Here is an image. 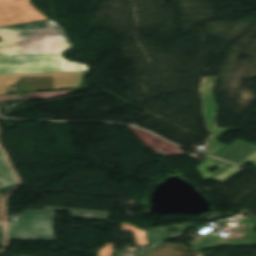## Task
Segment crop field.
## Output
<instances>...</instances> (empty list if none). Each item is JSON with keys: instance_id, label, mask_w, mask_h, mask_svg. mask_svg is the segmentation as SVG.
<instances>
[{"instance_id": "crop-field-1", "label": "crop field", "mask_w": 256, "mask_h": 256, "mask_svg": "<svg viewBox=\"0 0 256 256\" xmlns=\"http://www.w3.org/2000/svg\"><path fill=\"white\" fill-rule=\"evenodd\" d=\"M0 37V95L34 76H52L53 90L88 88L87 65L63 59L62 51L73 46L54 21L3 27Z\"/></svg>"}, {"instance_id": "crop-field-2", "label": "crop field", "mask_w": 256, "mask_h": 256, "mask_svg": "<svg viewBox=\"0 0 256 256\" xmlns=\"http://www.w3.org/2000/svg\"><path fill=\"white\" fill-rule=\"evenodd\" d=\"M55 210L70 211V217L108 221L110 212L50 207L25 210L19 222H7L9 240L55 241L52 224Z\"/></svg>"}, {"instance_id": "crop-field-3", "label": "crop field", "mask_w": 256, "mask_h": 256, "mask_svg": "<svg viewBox=\"0 0 256 256\" xmlns=\"http://www.w3.org/2000/svg\"><path fill=\"white\" fill-rule=\"evenodd\" d=\"M48 19L31 0H0V27Z\"/></svg>"}, {"instance_id": "crop-field-4", "label": "crop field", "mask_w": 256, "mask_h": 256, "mask_svg": "<svg viewBox=\"0 0 256 256\" xmlns=\"http://www.w3.org/2000/svg\"><path fill=\"white\" fill-rule=\"evenodd\" d=\"M210 155L238 163L253 162L256 167V145L236 139L230 146L220 142L211 143L208 150Z\"/></svg>"}, {"instance_id": "crop-field-5", "label": "crop field", "mask_w": 256, "mask_h": 256, "mask_svg": "<svg viewBox=\"0 0 256 256\" xmlns=\"http://www.w3.org/2000/svg\"><path fill=\"white\" fill-rule=\"evenodd\" d=\"M218 77H204L201 92L205 104V118L209 131L213 134V138L209 142L217 141L218 137L227 133L228 130L235 131L242 128H217L216 113L217 105L214 96V86ZM229 132V131H228Z\"/></svg>"}, {"instance_id": "crop-field-6", "label": "crop field", "mask_w": 256, "mask_h": 256, "mask_svg": "<svg viewBox=\"0 0 256 256\" xmlns=\"http://www.w3.org/2000/svg\"><path fill=\"white\" fill-rule=\"evenodd\" d=\"M214 164L217 166H220V168L215 170L213 173L208 172L207 170ZM229 165L230 164L228 163L209 157L206 160H204L202 163H200L198 166H196L195 168L201 174V176L205 178V180H208L209 178H211L212 176H214L215 174H217L218 172H220L222 169H224ZM243 170L244 169L233 165L229 167L227 170H225L224 172H222L221 174H219L218 176H216L215 178H213L212 181L223 183Z\"/></svg>"}, {"instance_id": "crop-field-7", "label": "crop field", "mask_w": 256, "mask_h": 256, "mask_svg": "<svg viewBox=\"0 0 256 256\" xmlns=\"http://www.w3.org/2000/svg\"><path fill=\"white\" fill-rule=\"evenodd\" d=\"M52 77L22 78L17 86H11L9 94L52 90Z\"/></svg>"}, {"instance_id": "crop-field-8", "label": "crop field", "mask_w": 256, "mask_h": 256, "mask_svg": "<svg viewBox=\"0 0 256 256\" xmlns=\"http://www.w3.org/2000/svg\"><path fill=\"white\" fill-rule=\"evenodd\" d=\"M221 246H248L244 238L239 239H215L200 237V239L192 246L193 251L198 252V256H202L200 250L221 247Z\"/></svg>"}, {"instance_id": "crop-field-9", "label": "crop field", "mask_w": 256, "mask_h": 256, "mask_svg": "<svg viewBox=\"0 0 256 256\" xmlns=\"http://www.w3.org/2000/svg\"><path fill=\"white\" fill-rule=\"evenodd\" d=\"M196 224L189 222L183 226H178V225H169V226H163V227H156V228H152V229H147L145 230L147 233V238H148V243L150 246L155 245L177 233H180L192 226H194ZM173 227H177L180 228L179 230L172 232L168 235H166L165 231L173 228Z\"/></svg>"}, {"instance_id": "crop-field-10", "label": "crop field", "mask_w": 256, "mask_h": 256, "mask_svg": "<svg viewBox=\"0 0 256 256\" xmlns=\"http://www.w3.org/2000/svg\"><path fill=\"white\" fill-rule=\"evenodd\" d=\"M191 249L184 245L160 244L148 250L142 256H192L188 255Z\"/></svg>"}, {"instance_id": "crop-field-11", "label": "crop field", "mask_w": 256, "mask_h": 256, "mask_svg": "<svg viewBox=\"0 0 256 256\" xmlns=\"http://www.w3.org/2000/svg\"><path fill=\"white\" fill-rule=\"evenodd\" d=\"M15 183H17V179L10 170L3 152L0 150V189Z\"/></svg>"}, {"instance_id": "crop-field-12", "label": "crop field", "mask_w": 256, "mask_h": 256, "mask_svg": "<svg viewBox=\"0 0 256 256\" xmlns=\"http://www.w3.org/2000/svg\"><path fill=\"white\" fill-rule=\"evenodd\" d=\"M122 228L124 232L134 231L136 246L147 245V239L144 230L137 229L135 226L126 223H122Z\"/></svg>"}, {"instance_id": "crop-field-13", "label": "crop field", "mask_w": 256, "mask_h": 256, "mask_svg": "<svg viewBox=\"0 0 256 256\" xmlns=\"http://www.w3.org/2000/svg\"><path fill=\"white\" fill-rule=\"evenodd\" d=\"M114 244L107 243L104 248L100 249L98 256H112Z\"/></svg>"}, {"instance_id": "crop-field-14", "label": "crop field", "mask_w": 256, "mask_h": 256, "mask_svg": "<svg viewBox=\"0 0 256 256\" xmlns=\"http://www.w3.org/2000/svg\"><path fill=\"white\" fill-rule=\"evenodd\" d=\"M0 202H3L2 194H0ZM0 224H3L2 205H0Z\"/></svg>"}, {"instance_id": "crop-field-15", "label": "crop field", "mask_w": 256, "mask_h": 256, "mask_svg": "<svg viewBox=\"0 0 256 256\" xmlns=\"http://www.w3.org/2000/svg\"><path fill=\"white\" fill-rule=\"evenodd\" d=\"M0 235L4 236L3 225H0Z\"/></svg>"}, {"instance_id": "crop-field-16", "label": "crop field", "mask_w": 256, "mask_h": 256, "mask_svg": "<svg viewBox=\"0 0 256 256\" xmlns=\"http://www.w3.org/2000/svg\"><path fill=\"white\" fill-rule=\"evenodd\" d=\"M4 246V238H0V247Z\"/></svg>"}, {"instance_id": "crop-field-17", "label": "crop field", "mask_w": 256, "mask_h": 256, "mask_svg": "<svg viewBox=\"0 0 256 256\" xmlns=\"http://www.w3.org/2000/svg\"><path fill=\"white\" fill-rule=\"evenodd\" d=\"M21 256H23V255H21Z\"/></svg>"}]
</instances>
